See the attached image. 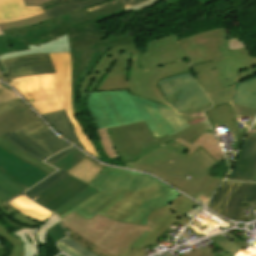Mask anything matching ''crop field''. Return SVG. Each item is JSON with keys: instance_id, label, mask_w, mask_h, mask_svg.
<instances>
[{"instance_id": "obj_1", "label": "crop field", "mask_w": 256, "mask_h": 256, "mask_svg": "<svg viewBox=\"0 0 256 256\" xmlns=\"http://www.w3.org/2000/svg\"><path fill=\"white\" fill-rule=\"evenodd\" d=\"M179 37L173 34L156 38L145 53L139 52L135 44L112 48L84 77L79 97H87L91 91L129 90L130 94L172 107L156 81L190 72V65L230 58L224 27L178 41ZM211 107L177 114L188 121L203 116L202 111Z\"/></svg>"}, {"instance_id": "obj_2", "label": "crop field", "mask_w": 256, "mask_h": 256, "mask_svg": "<svg viewBox=\"0 0 256 256\" xmlns=\"http://www.w3.org/2000/svg\"><path fill=\"white\" fill-rule=\"evenodd\" d=\"M210 129L204 120L171 137L155 140L144 121L109 128L114 146L128 168L148 171L204 205L223 181L209 174V168L217 162L201 147L191 157L183 154L188 149L172 140L180 137L192 144Z\"/></svg>"}, {"instance_id": "obj_3", "label": "crop field", "mask_w": 256, "mask_h": 256, "mask_svg": "<svg viewBox=\"0 0 256 256\" xmlns=\"http://www.w3.org/2000/svg\"><path fill=\"white\" fill-rule=\"evenodd\" d=\"M198 204L180 195L163 208L153 210L146 227L113 221L99 214L89 221L71 213L61 219L70 238L98 256H146L142 248L152 245L176 221L187 225L186 214Z\"/></svg>"}, {"instance_id": "obj_4", "label": "crop field", "mask_w": 256, "mask_h": 256, "mask_svg": "<svg viewBox=\"0 0 256 256\" xmlns=\"http://www.w3.org/2000/svg\"><path fill=\"white\" fill-rule=\"evenodd\" d=\"M89 185L100 191L59 218L74 211L89 220L100 213L145 226L152 209L161 208L180 195L150 176L107 166Z\"/></svg>"}, {"instance_id": "obj_5", "label": "crop field", "mask_w": 256, "mask_h": 256, "mask_svg": "<svg viewBox=\"0 0 256 256\" xmlns=\"http://www.w3.org/2000/svg\"><path fill=\"white\" fill-rule=\"evenodd\" d=\"M87 109L102 129L144 120L156 139L188 127L170 107L128 94V91L91 92Z\"/></svg>"}, {"instance_id": "obj_6", "label": "crop field", "mask_w": 256, "mask_h": 256, "mask_svg": "<svg viewBox=\"0 0 256 256\" xmlns=\"http://www.w3.org/2000/svg\"><path fill=\"white\" fill-rule=\"evenodd\" d=\"M231 59L191 66L197 81L213 101L214 107L230 103L233 121L238 132L237 146L247 132L239 129L235 118L256 116V109L232 104L235 83L256 75V58L251 57L248 48L229 52ZM248 128L251 122L244 123Z\"/></svg>"}, {"instance_id": "obj_7", "label": "crop field", "mask_w": 256, "mask_h": 256, "mask_svg": "<svg viewBox=\"0 0 256 256\" xmlns=\"http://www.w3.org/2000/svg\"><path fill=\"white\" fill-rule=\"evenodd\" d=\"M56 74L36 75L13 79L12 85L41 114L65 110L74 131L87 152L100 160L90 141L85 137L71 106V59L69 53L49 54Z\"/></svg>"}, {"instance_id": "obj_8", "label": "crop field", "mask_w": 256, "mask_h": 256, "mask_svg": "<svg viewBox=\"0 0 256 256\" xmlns=\"http://www.w3.org/2000/svg\"><path fill=\"white\" fill-rule=\"evenodd\" d=\"M123 13L126 12L122 3L91 13L83 9L38 26L3 33L15 51L46 43L66 33L69 43H93L106 38L97 22Z\"/></svg>"}, {"instance_id": "obj_9", "label": "crop field", "mask_w": 256, "mask_h": 256, "mask_svg": "<svg viewBox=\"0 0 256 256\" xmlns=\"http://www.w3.org/2000/svg\"><path fill=\"white\" fill-rule=\"evenodd\" d=\"M137 37H116L104 39L93 44H68L67 34L47 44L29 46L30 50L0 55V60L32 53L70 52L72 59V106L74 115L81 114L78 108L79 84L84 76L89 75L93 66L112 47L134 43Z\"/></svg>"}, {"instance_id": "obj_10", "label": "crop field", "mask_w": 256, "mask_h": 256, "mask_svg": "<svg viewBox=\"0 0 256 256\" xmlns=\"http://www.w3.org/2000/svg\"><path fill=\"white\" fill-rule=\"evenodd\" d=\"M157 83L178 113L211 103L196 83L192 73L166 78Z\"/></svg>"}, {"instance_id": "obj_11", "label": "crop field", "mask_w": 256, "mask_h": 256, "mask_svg": "<svg viewBox=\"0 0 256 256\" xmlns=\"http://www.w3.org/2000/svg\"><path fill=\"white\" fill-rule=\"evenodd\" d=\"M241 202L255 203L256 208V184L225 181L208 207L221 215L240 220Z\"/></svg>"}, {"instance_id": "obj_12", "label": "crop field", "mask_w": 256, "mask_h": 256, "mask_svg": "<svg viewBox=\"0 0 256 256\" xmlns=\"http://www.w3.org/2000/svg\"><path fill=\"white\" fill-rule=\"evenodd\" d=\"M0 169L27 189L50 174L18 158L1 146Z\"/></svg>"}, {"instance_id": "obj_13", "label": "crop field", "mask_w": 256, "mask_h": 256, "mask_svg": "<svg viewBox=\"0 0 256 256\" xmlns=\"http://www.w3.org/2000/svg\"><path fill=\"white\" fill-rule=\"evenodd\" d=\"M6 67V75L10 79L36 74L55 73L48 54H33L29 56L10 58L1 61Z\"/></svg>"}, {"instance_id": "obj_14", "label": "crop field", "mask_w": 256, "mask_h": 256, "mask_svg": "<svg viewBox=\"0 0 256 256\" xmlns=\"http://www.w3.org/2000/svg\"><path fill=\"white\" fill-rule=\"evenodd\" d=\"M256 166V135L247 134L237 154L233 169L227 179L252 181Z\"/></svg>"}, {"instance_id": "obj_15", "label": "crop field", "mask_w": 256, "mask_h": 256, "mask_svg": "<svg viewBox=\"0 0 256 256\" xmlns=\"http://www.w3.org/2000/svg\"><path fill=\"white\" fill-rule=\"evenodd\" d=\"M87 185L70 176L32 200L53 211Z\"/></svg>"}, {"instance_id": "obj_16", "label": "crop field", "mask_w": 256, "mask_h": 256, "mask_svg": "<svg viewBox=\"0 0 256 256\" xmlns=\"http://www.w3.org/2000/svg\"><path fill=\"white\" fill-rule=\"evenodd\" d=\"M0 216L5 220V222L12 227L18 229H27L41 225V223L33 221L26 216L22 215L10 205H3L0 202ZM0 236L8 240L14 247L10 256H22L24 252L23 243L18 240L15 236L11 235L0 223Z\"/></svg>"}, {"instance_id": "obj_17", "label": "crop field", "mask_w": 256, "mask_h": 256, "mask_svg": "<svg viewBox=\"0 0 256 256\" xmlns=\"http://www.w3.org/2000/svg\"><path fill=\"white\" fill-rule=\"evenodd\" d=\"M13 132L48 157L67 147H71L54 135L48 128L30 136L19 129Z\"/></svg>"}, {"instance_id": "obj_18", "label": "crop field", "mask_w": 256, "mask_h": 256, "mask_svg": "<svg viewBox=\"0 0 256 256\" xmlns=\"http://www.w3.org/2000/svg\"><path fill=\"white\" fill-rule=\"evenodd\" d=\"M59 222L56 215H52L41 226L27 230H17L13 235L17 236L25 244L24 256H39L37 245L46 244L47 229Z\"/></svg>"}, {"instance_id": "obj_19", "label": "crop field", "mask_w": 256, "mask_h": 256, "mask_svg": "<svg viewBox=\"0 0 256 256\" xmlns=\"http://www.w3.org/2000/svg\"><path fill=\"white\" fill-rule=\"evenodd\" d=\"M37 119L39 118L23 103L0 116V135Z\"/></svg>"}, {"instance_id": "obj_20", "label": "crop field", "mask_w": 256, "mask_h": 256, "mask_svg": "<svg viewBox=\"0 0 256 256\" xmlns=\"http://www.w3.org/2000/svg\"><path fill=\"white\" fill-rule=\"evenodd\" d=\"M42 13L39 7H26L23 0H0V23L26 19Z\"/></svg>"}, {"instance_id": "obj_21", "label": "crop field", "mask_w": 256, "mask_h": 256, "mask_svg": "<svg viewBox=\"0 0 256 256\" xmlns=\"http://www.w3.org/2000/svg\"><path fill=\"white\" fill-rule=\"evenodd\" d=\"M108 0H60L45 4L40 8L51 19L69 14L82 8H87Z\"/></svg>"}, {"instance_id": "obj_22", "label": "crop field", "mask_w": 256, "mask_h": 256, "mask_svg": "<svg viewBox=\"0 0 256 256\" xmlns=\"http://www.w3.org/2000/svg\"><path fill=\"white\" fill-rule=\"evenodd\" d=\"M174 141L187 147L189 150L185 153L188 155H191L195 150H197L201 146L217 162L225 158L212 130L203 134L192 145L180 138Z\"/></svg>"}, {"instance_id": "obj_23", "label": "crop field", "mask_w": 256, "mask_h": 256, "mask_svg": "<svg viewBox=\"0 0 256 256\" xmlns=\"http://www.w3.org/2000/svg\"><path fill=\"white\" fill-rule=\"evenodd\" d=\"M205 114H206L212 128L218 127V126H223V125L227 126V128L230 130V132L232 134L231 136L234 140V142H232L231 144L234 148V151H237V147H236L237 132L235 129V125L232 121L229 104L220 106V107H216V108H212L208 111H205Z\"/></svg>"}, {"instance_id": "obj_24", "label": "crop field", "mask_w": 256, "mask_h": 256, "mask_svg": "<svg viewBox=\"0 0 256 256\" xmlns=\"http://www.w3.org/2000/svg\"><path fill=\"white\" fill-rule=\"evenodd\" d=\"M10 204L16 210L26 215L27 217L43 223L53 213L45 210L44 208L36 205L25 196L21 195L15 200L11 201Z\"/></svg>"}, {"instance_id": "obj_25", "label": "crop field", "mask_w": 256, "mask_h": 256, "mask_svg": "<svg viewBox=\"0 0 256 256\" xmlns=\"http://www.w3.org/2000/svg\"><path fill=\"white\" fill-rule=\"evenodd\" d=\"M50 123L55 129H57L63 136L71 140L74 144L84 149L73 131L70 120L65 111H57L45 115H41ZM85 150V149H84Z\"/></svg>"}, {"instance_id": "obj_26", "label": "crop field", "mask_w": 256, "mask_h": 256, "mask_svg": "<svg viewBox=\"0 0 256 256\" xmlns=\"http://www.w3.org/2000/svg\"><path fill=\"white\" fill-rule=\"evenodd\" d=\"M104 167V165H100L86 156L66 173L89 184L99 175Z\"/></svg>"}, {"instance_id": "obj_27", "label": "crop field", "mask_w": 256, "mask_h": 256, "mask_svg": "<svg viewBox=\"0 0 256 256\" xmlns=\"http://www.w3.org/2000/svg\"><path fill=\"white\" fill-rule=\"evenodd\" d=\"M233 103L256 108V76L237 83Z\"/></svg>"}, {"instance_id": "obj_28", "label": "crop field", "mask_w": 256, "mask_h": 256, "mask_svg": "<svg viewBox=\"0 0 256 256\" xmlns=\"http://www.w3.org/2000/svg\"><path fill=\"white\" fill-rule=\"evenodd\" d=\"M23 186L0 170V201L5 204L25 191Z\"/></svg>"}, {"instance_id": "obj_29", "label": "crop field", "mask_w": 256, "mask_h": 256, "mask_svg": "<svg viewBox=\"0 0 256 256\" xmlns=\"http://www.w3.org/2000/svg\"><path fill=\"white\" fill-rule=\"evenodd\" d=\"M68 176H69L68 174L59 170L53 175H51L50 177H48L47 179H45L44 181L33 186L24 194L32 199L38 194L42 193L46 189L50 188L51 186L55 185L56 183L60 182L61 180L65 179Z\"/></svg>"}, {"instance_id": "obj_30", "label": "crop field", "mask_w": 256, "mask_h": 256, "mask_svg": "<svg viewBox=\"0 0 256 256\" xmlns=\"http://www.w3.org/2000/svg\"><path fill=\"white\" fill-rule=\"evenodd\" d=\"M96 191L98 190L88 185L84 190L77 193L75 196H73L71 199H69L67 202H65L63 205H61L59 208H57L53 212L56 213L57 216L59 217L66 211L70 210L72 207L86 200L89 196H91Z\"/></svg>"}, {"instance_id": "obj_31", "label": "crop field", "mask_w": 256, "mask_h": 256, "mask_svg": "<svg viewBox=\"0 0 256 256\" xmlns=\"http://www.w3.org/2000/svg\"><path fill=\"white\" fill-rule=\"evenodd\" d=\"M0 145L3 146L5 149L9 150L10 152L14 153L15 155H17L18 157H20V158L42 168L50 173L56 171L55 168L50 167V166L46 165L45 163L40 162V161L28 156L27 154L22 152L20 149H18L14 145H12L10 142L5 140L2 136L0 137Z\"/></svg>"}, {"instance_id": "obj_32", "label": "crop field", "mask_w": 256, "mask_h": 256, "mask_svg": "<svg viewBox=\"0 0 256 256\" xmlns=\"http://www.w3.org/2000/svg\"><path fill=\"white\" fill-rule=\"evenodd\" d=\"M4 138H6L8 141L13 143L15 146L20 148L22 151L25 153L29 154L30 156L42 161L46 159L47 157L43 155L41 152L30 146L28 143L17 137L15 134L12 132H9L5 135H3Z\"/></svg>"}, {"instance_id": "obj_33", "label": "crop field", "mask_w": 256, "mask_h": 256, "mask_svg": "<svg viewBox=\"0 0 256 256\" xmlns=\"http://www.w3.org/2000/svg\"><path fill=\"white\" fill-rule=\"evenodd\" d=\"M49 19H50L49 17L43 14V15L35 16L30 19H26V20L0 24V29L1 31H5V30L25 28V27L41 24Z\"/></svg>"}, {"instance_id": "obj_34", "label": "crop field", "mask_w": 256, "mask_h": 256, "mask_svg": "<svg viewBox=\"0 0 256 256\" xmlns=\"http://www.w3.org/2000/svg\"><path fill=\"white\" fill-rule=\"evenodd\" d=\"M85 156V154L76 149L52 166L66 172Z\"/></svg>"}, {"instance_id": "obj_35", "label": "crop field", "mask_w": 256, "mask_h": 256, "mask_svg": "<svg viewBox=\"0 0 256 256\" xmlns=\"http://www.w3.org/2000/svg\"><path fill=\"white\" fill-rule=\"evenodd\" d=\"M98 133H99V138H100L102 148L104 152L107 154V156L109 158H119L112 146L107 128L98 130Z\"/></svg>"}, {"instance_id": "obj_36", "label": "crop field", "mask_w": 256, "mask_h": 256, "mask_svg": "<svg viewBox=\"0 0 256 256\" xmlns=\"http://www.w3.org/2000/svg\"><path fill=\"white\" fill-rule=\"evenodd\" d=\"M211 239L213 242H215L218 246L226 250L229 254L233 256H238L239 253L242 251L241 248L237 247L236 245L232 244L228 239L218 235Z\"/></svg>"}, {"instance_id": "obj_37", "label": "crop field", "mask_w": 256, "mask_h": 256, "mask_svg": "<svg viewBox=\"0 0 256 256\" xmlns=\"http://www.w3.org/2000/svg\"><path fill=\"white\" fill-rule=\"evenodd\" d=\"M145 1H147V0H111V1L99 4V5L87 8V10H88V12H90V11L102 9V8H105V7H108V6H111V5H115V4H118V3H121V2H123L124 6L126 8V7L136 6V5L141 4Z\"/></svg>"}, {"instance_id": "obj_38", "label": "crop field", "mask_w": 256, "mask_h": 256, "mask_svg": "<svg viewBox=\"0 0 256 256\" xmlns=\"http://www.w3.org/2000/svg\"><path fill=\"white\" fill-rule=\"evenodd\" d=\"M17 98V95L8 87L0 83V107Z\"/></svg>"}, {"instance_id": "obj_39", "label": "crop field", "mask_w": 256, "mask_h": 256, "mask_svg": "<svg viewBox=\"0 0 256 256\" xmlns=\"http://www.w3.org/2000/svg\"><path fill=\"white\" fill-rule=\"evenodd\" d=\"M66 245H68L73 250L77 251L78 253L82 254L83 256H97L94 253L87 250L85 247L79 245L74 240L70 239L69 237H66L64 240H62Z\"/></svg>"}, {"instance_id": "obj_40", "label": "crop field", "mask_w": 256, "mask_h": 256, "mask_svg": "<svg viewBox=\"0 0 256 256\" xmlns=\"http://www.w3.org/2000/svg\"><path fill=\"white\" fill-rule=\"evenodd\" d=\"M47 231L51 234L52 239L55 243H57L58 241H60L61 239L65 238L68 235V232L61 227L60 222Z\"/></svg>"}, {"instance_id": "obj_41", "label": "crop field", "mask_w": 256, "mask_h": 256, "mask_svg": "<svg viewBox=\"0 0 256 256\" xmlns=\"http://www.w3.org/2000/svg\"><path fill=\"white\" fill-rule=\"evenodd\" d=\"M44 128H46V126L40 120H37V121H34L32 123H29V124L19 128V129L24 131L26 134L30 135V134L37 132L39 130H42Z\"/></svg>"}, {"instance_id": "obj_42", "label": "crop field", "mask_w": 256, "mask_h": 256, "mask_svg": "<svg viewBox=\"0 0 256 256\" xmlns=\"http://www.w3.org/2000/svg\"><path fill=\"white\" fill-rule=\"evenodd\" d=\"M14 52L11 45L7 42L3 35H0V54ZM0 70L5 73V67L0 62Z\"/></svg>"}, {"instance_id": "obj_43", "label": "crop field", "mask_w": 256, "mask_h": 256, "mask_svg": "<svg viewBox=\"0 0 256 256\" xmlns=\"http://www.w3.org/2000/svg\"><path fill=\"white\" fill-rule=\"evenodd\" d=\"M244 47H245V45H244L243 41H239L238 38L228 39L229 51L244 48Z\"/></svg>"}, {"instance_id": "obj_44", "label": "crop field", "mask_w": 256, "mask_h": 256, "mask_svg": "<svg viewBox=\"0 0 256 256\" xmlns=\"http://www.w3.org/2000/svg\"><path fill=\"white\" fill-rule=\"evenodd\" d=\"M75 148H69L61 153H58L52 157H50L48 160H46L45 162L52 165L55 162H57L58 160H60L61 158H63L65 155H67L68 153H70L71 151H73Z\"/></svg>"}, {"instance_id": "obj_45", "label": "crop field", "mask_w": 256, "mask_h": 256, "mask_svg": "<svg viewBox=\"0 0 256 256\" xmlns=\"http://www.w3.org/2000/svg\"><path fill=\"white\" fill-rule=\"evenodd\" d=\"M157 0H149L141 5H138L136 7H132V8H127L125 9L126 12H133V11H139L141 9L147 8L149 6H151L152 4H154Z\"/></svg>"}, {"instance_id": "obj_46", "label": "crop field", "mask_w": 256, "mask_h": 256, "mask_svg": "<svg viewBox=\"0 0 256 256\" xmlns=\"http://www.w3.org/2000/svg\"><path fill=\"white\" fill-rule=\"evenodd\" d=\"M58 247H60V249L62 251H64L65 254L68 256H82V255L78 254L77 252L73 251L72 249H70L68 246H66L61 241L58 243Z\"/></svg>"}, {"instance_id": "obj_47", "label": "crop field", "mask_w": 256, "mask_h": 256, "mask_svg": "<svg viewBox=\"0 0 256 256\" xmlns=\"http://www.w3.org/2000/svg\"><path fill=\"white\" fill-rule=\"evenodd\" d=\"M21 103H23V102L18 98L16 100L12 101L11 103L3 106L2 108H0V115L3 114L4 112H6L7 110L21 104Z\"/></svg>"}, {"instance_id": "obj_48", "label": "crop field", "mask_w": 256, "mask_h": 256, "mask_svg": "<svg viewBox=\"0 0 256 256\" xmlns=\"http://www.w3.org/2000/svg\"><path fill=\"white\" fill-rule=\"evenodd\" d=\"M25 5H30V6H40L44 3L55 1V0H24Z\"/></svg>"}, {"instance_id": "obj_49", "label": "crop field", "mask_w": 256, "mask_h": 256, "mask_svg": "<svg viewBox=\"0 0 256 256\" xmlns=\"http://www.w3.org/2000/svg\"><path fill=\"white\" fill-rule=\"evenodd\" d=\"M202 210L201 206H197L195 208H193L190 212H188L186 215L192 219L197 213H199Z\"/></svg>"}, {"instance_id": "obj_50", "label": "crop field", "mask_w": 256, "mask_h": 256, "mask_svg": "<svg viewBox=\"0 0 256 256\" xmlns=\"http://www.w3.org/2000/svg\"><path fill=\"white\" fill-rule=\"evenodd\" d=\"M226 235H228L229 237H231L232 239L236 240L237 242H239L240 244H242L243 246H248L249 244H247L246 242L240 240L239 238L231 235L229 232L225 233Z\"/></svg>"}, {"instance_id": "obj_51", "label": "crop field", "mask_w": 256, "mask_h": 256, "mask_svg": "<svg viewBox=\"0 0 256 256\" xmlns=\"http://www.w3.org/2000/svg\"><path fill=\"white\" fill-rule=\"evenodd\" d=\"M182 256H205V255L203 253H201L200 251H197V252L189 253V254L182 255Z\"/></svg>"}, {"instance_id": "obj_52", "label": "crop field", "mask_w": 256, "mask_h": 256, "mask_svg": "<svg viewBox=\"0 0 256 256\" xmlns=\"http://www.w3.org/2000/svg\"><path fill=\"white\" fill-rule=\"evenodd\" d=\"M0 79H2V80H4V81H6V82H8V83H10L11 81L8 79V77L7 76H5V75H3L1 72H0ZM7 83V84H8Z\"/></svg>"}, {"instance_id": "obj_53", "label": "crop field", "mask_w": 256, "mask_h": 256, "mask_svg": "<svg viewBox=\"0 0 256 256\" xmlns=\"http://www.w3.org/2000/svg\"><path fill=\"white\" fill-rule=\"evenodd\" d=\"M199 1L206 5V4H208L209 2H211L213 0H199Z\"/></svg>"}, {"instance_id": "obj_54", "label": "crop field", "mask_w": 256, "mask_h": 256, "mask_svg": "<svg viewBox=\"0 0 256 256\" xmlns=\"http://www.w3.org/2000/svg\"><path fill=\"white\" fill-rule=\"evenodd\" d=\"M171 2H173V3H175L176 5L178 4V3H180V2H182V1H184V0H170ZM174 4V5H175Z\"/></svg>"}, {"instance_id": "obj_55", "label": "crop field", "mask_w": 256, "mask_h": 256, "mask_svg": "<svg viewBox=\"0 0 256 256\" xmlns=\"http://www.w3.org/2000/svg\"><path fill=\"white\" fill-rule=\"evenodd\" d=\"M250 133L256 134V126L249 130Z\"/></svg>"}, {"instance_id": "obj_56", "label": "crop field", "mask_w": 256, "mask_h": 256, "mask_svg": "<svg viewBox=\"0 0 256 256\" xmlns=\"http://www.w3.org/2000/svg\"><path fill=\"white\" fill-rule=\"evenodd\" d=\"M253 181H256V169H255V172H254Z\"/></svg>"}, {"instance_id": "obj_57", "label": "crop field", "mask_w": 256, "mask_h": 256, "mask_svg": "<svg viewBox=\"0 0 256 256\" xmlns=\"http://www.w3.org/2000/svg\"><path fill=\"white\" fill-rule=\"evenodd\" d=\"M255 124H256V119H255V121H254L253 125H255ZM253 125H252V126H253Z\"/></svg>"}]
</instances>
